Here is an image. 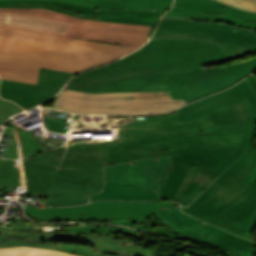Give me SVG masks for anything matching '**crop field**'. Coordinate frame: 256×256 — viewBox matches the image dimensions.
<instances>
[{"label": "crop field", "mask_w": 256, "mask_h": 256, "mask_svg": "<svg viewBox=\"0 0 256 256\" xmlns=\"http://www.w3.org/2000/svg\"><path fill=\"white\" fill-rule=\"evenodd\" d=\"M177 113L126 116L120 139L77 142L26 158L66 169H103L104 164L168 155L172 167L160 199L182 211L253 239L256 226V96L245 79L235 87L189 104ZM182 205V206H183Z\"/></svg>", "instance_id": "obj_1"}, {"label": "crop field", "mask_w": 256, "mask_h": 256, "mask_svg": "<svg viewBox=\"0 0 256 256\" xmlns=\"http://www.w3.org/2000/svg\"><path fill=\"white\" fill-rule=\"evenodd\" d=\"M150 27L0 8V77L37 84L39 67L74 72L138 48Z\"/></svg>", "instance_id": "obj_2"}, {"label": "crop field", "mask_w": 256, "mask_h": 256, "mask_svg": "<svg viewBox=\"0 0 256 256\" xmlns=\"http://www.w3.org/2000/svg\"><path fill=\"white\" fill-rule=\"evenodd\" d=\"M230 60L221 46L183 40H150L116 62L82 72L65 86L88 93L169 91L186 104L234 85L256 71V57L204 70Z\"/></svg>", "instance_id": "obj_3"}, {"label": "crop field", "mask_w": 256, "mask_h": 256, "mask_svg": "<svg viewBox=\"0 0 256 256\" xmlns=\"http://www.w3.org/2000/svg\"><path fill=\"white\" fill-rule=\"evenodd\" d=\"M183 99L172 100L168 92H118L87 94L64 89L54 108L78 114L152 115L171 112Z\"/></svg>", "instance_id": "obj_4"}, {"label": "crop field", "mask_w": 256, "mask_h": 256, "mask_svg": "<svg viewBox=\"0 0 256 256\" xmlns=\"http://www.w3.org/2000/svg\"><path fill=\"white\" fill-rule=\"evenodd\" d=\"M26 194L47 197V205L69 206L88 202L102 190L103 170H65L22 159Z\"/></svg>", "instance_id": "obj_5"}, {"label": "crop field", "mask_w": 256, "mask_h": 256, "mask_svg": "<svg viewBox=\"0 0 256 256\" xmlns=\"http://www.w3.org/2000/svg\"><path fill=\"white\" fill-rule=\"evenodd\" d=\"M159 220L157 233L182 239H192L205 244L218 246L227 256H254V244L240 237L233 236L208 223L183 214L180 205L175 210H159L143 220H107L108 223L124 224L136 229L153 231V225Z\"/></svg>", "instance_id": "obj_6"}, {"label": "crop field", "mask_w": 256, "mask_h": 256, "mask_svg": "<svg viewBox=\"0 0 256 256\" xmlns=\"http://www.w3.org/2000/svg\"><path fill=\"white\" fill-rule=\"evenodd\" d=\"M170 166L167 156L106 165L103 191L90 201L160 200L157 190Z\"/></svg>", "instance_id": "obj_7"}, {"label": "crop field", "mask_w": 256, "mask_h": 256, "mask_svg": "<svg viewBox=\"0 0 256 256\" xmlns=\"http://www.w3.org/2000/svg\"><path fill=\"white\" fill-rule=\"evenodd\" d=\"M152 39H184L216 43L224 47L231 59L256 52V31L222 23L161 20Z\"/></svg>", "instance_id": "obj_8"}, {"label": "crop field", "mask_w": 256, "mask_h": 256, "mask_svg": "<svg viewBox=\"0 0 256 256\" xmlns=\"http://www.w3.org/2000/svg\"><path fill=\"white\" fill-rule=\"evenodd\" d=\"M173 202L99 201L82 206L48 207L45 210L24 205L27 215L37 220L142 219Z\"/></svg>", "instance_id": "obj_9"}, {"label": "crop field", "mask_w": 256, "mask_h": 256, "mask_svg": "<svg viewBox=\"0 0 256 256\" xmlns=\"http://www.w3.org/2000/svg\"><path fill=\"white\" fill-rule=\"evenodd\" d=\"M80 242L95 244V250L66 244H56L52 240H39L3 234L0 247L26 245L39 248H50L82 256H152V253L132 246L135 241L129 239L115 240V236L80 234ZM56 247V248H54Z\"/></svg>", "instance_id": "obj_10"}, {"label": "crop field", "mask_w": 256, "mask_h": 256, "mask_svg": "<svg viewBox=\"0 0 256 256\" xmlns=\"http://www.w3.org/2000/svg\"><path fill=\"white\" fill-rule=\"evenodd\" d=\"M0 7L11 8H44L73 15L78 18H88L113 22L133 23L151 26L148 38L155 25L166 10L140 11V10H107L92 9L55 1H0Z\"/></svg>", "instance_id": "obj_11"}, {"label": "crop field", "mask_w": 256, "mask_h": 256, "mask_svg": "<svg viewBox=\"0 0 256 256\" xmlns=\"http://www.w3.org/2000/svg\"><path fill=\"white\" fill-rule=\"evenodd\" d=\"M163 19L222 22L256 30V13L241 11L214 0H176Z\"/></svg>", "instance_id": "obj_12"}, {"label": "crop field", "mask_w": 256, "mask_h": 256, "mask_svg": "<svg viewBox=\"0 0 256 256\" xmlns=\"http://www.w3.org/2000/svg\"><path fill=\"white\" fill-rule=\"evenodd\" d=\"M73 75L70 72L40 68L38 85L1 79L0 96L27 110L55 96Z\"/></svg>", "instance_id": "obj_13"}, {"label": "crop field", "mask_w": 256, "mask_h": 256, "mask_svg": "<svg viewBox=\"0 0 256 256\" xmlns=\"http://www.w3.org/2000/svg\"><path fill=\"white\" fill-rule=\"evenodd\" d=\"M92 8L107 9H170L173 0H55Z\"/></svg>", "instance_id": "obj_14"}, {"label": "crop field", "mask_w": 256, "mask_h": 256, "mask_svg": "<svg viewBox=\"0 0 256 256\" xmlns=\"http://www.w3.org/2000/svg\"><path fill=\"white\" fill-rule=\"evenodd\" d=\"M9 121V120H8ZM10 119L3 134L16 136L9 158H25L38 153L49 151V149L39 145L32 131H24L18 126H13Z\"/></svg>", "instance_id": "obj_15"}, {"label": "crop field", "mask_w": 256, "mask_h": 256, "mask_svg": "<svg viewBox=\"0 0 256 256\" xmlns=\"http://www.w3.org/2000/svg\"><path fill=\"white\" fill-rule=\"evenodd\" d=\"M0 184L18 187L25 186L21 160L0 159Z\"/></svg>", "instance_id": "obj_16"}, {"label": "crop field", "mask_w": 256, "mask_h": 256, "mask_svg": "<svg viewBox=\"0 0 256 256\" xmlns=\"http://www.w3.org/2000/svg\"><path fill=\"white\" fill-rule=\"evenodd\" d=\"M46 129L67 133L70 126L71 114L56 109H42Z\"/></svg>", "instance_id": "obj_17"}, {"label": "crop field", "mask_w": 256, "mask_h": 256, "mask_svg": "<svg viewBox=\"0 0 256 256\" xmlns=\"http://www.w3.org/2000/svg\"><path fill=\"white\" fill-rule=\"evenodd\" d=\"M0 256H75L50 249H39L25 246L0 248Z\"/></svg>", "instance_id": "obj_18"}, {"label": "crop field", "mask_w": 256, "mask_h": 256, "mask_svg": "<svg viewBox=\"0 0 256 256\" xmlns=\"http://www.w3.org/2000/svg\"><path fill=\"white\" fill-rule=\"evenodd\" d=\"M64 231H70L75 233H90V234H102V233H125L137 238V231H133L121 227H110V226H101V225H76L70 227H63Z\"/></svg>", "instance_id": "obj_19"}, {"label": "crop field", "mask_w": 256, "mask_h": 256, "mask_svg": "<svg viewBox=\"0 0 256 256\" xmlns=\"http://www.w3.org/2000/svg\"><path fill=\"white\" fill-rule=\"evenodd\" d=\"M3 233L7 234H13V235H19V236H25V237H32V238H39V239H52V240H71L78 242L79 234L74 233H58V234H29V233H21V232H15L11 230H3L0 229V236Z\"/></svg>", "instance_id": "obj_20"}, {"label": "crop field", "mask_w": 256, "mask_h": 256, "mask_svg": "<svg viewBox=\"0 0 256 256\" xmlns=\"http://www.w3.org/2000/svg\"><path fill=\"white\" fill-rule=\"evenodd\" d=\"M221 3H224L226 5L246 10V11H251V12H256V0H216Z\"/></svg>", "instance_id": "obj_21"}, {"label": "crop field", "mask_w": 256, "mask_h": 256, "mask_svg": "<svg viewBox=\"0 0 256 256\" xmlns=\"http://www.w3.org/2000/svg\"><path fill=\"white\" fill-rule=\"evenodd\" d=\"M22 111L23 110L20 107H18L16 104L8 101H4L0 98V116L7 119L11 115L18 112H22Z\"/></svg>", "instance_id": "obj_22"}, {"label": "crop field", "mask_w": 256, "mask_h": 256, "mask_svg": "<svg viewBox=\"0 0 256 256\" xmlns=\"http://www.w3.org/2000/svg\"><path fill=\"white\" fill-rule=\"evenodd\" d=\"M5 192H11V187L0 185V198H4Z\"/></svg>", "instance_id": "obj_23"}, {"label": "crop field", "mask_w": 256, "mask_h": 256, "mask_svg": "<svg viewBox=\"0 0 256 256\" xmlns=\"http://www.w3.org/2000/svg\"><path fill=\"white\" fill-rule=\"evenodd\" d=\"M247 80L250 82L253 90L256 93V77L252 75V76L248 77Z\"/></svg>", "instance_id": "obj_24"}, {"label": "crop field", "mask_w": 256, "mask_h": 256, "mask_svg": "<svg viewBox=\"0 0 256 256\" xmlns=\"http://www.w3.org/2000/svg\"><path fill=\"white\" fill-rule=\"evenodd\" d=\"M45 141L51 142V143H55V144H60L62 142H64V140L62 139H56V138H45Z\"/></svg>", "instance_id": "obj_25"}, {"label": "crop field", "mask_w": 256, "mask_h": 256, "mask_svg": "<svg viewBox=\"0 0 256 256\" xmlns=\"http://www.w3.org/2000/svg\"><path fill=\"white\" fill-rule=\"evenodd\" d=\"M5 121H6L5 119H3V118L0 117V124H4Z\"/></svg>", "instance_id": "obj_26"}]
</instances>
